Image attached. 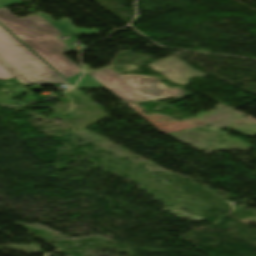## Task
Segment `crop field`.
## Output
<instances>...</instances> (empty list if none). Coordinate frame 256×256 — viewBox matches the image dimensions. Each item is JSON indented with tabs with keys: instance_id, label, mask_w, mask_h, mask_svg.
Returning <instances> with one entry per match:
<instances>
[{
	"instance_id": "8a807250",
	"label": "crop field",
	"mask_w": 256,
	"mask_h": 256,
	"mask_svg": "<svg viewBox=\"0 0 256 256\" xmlns=\"http://www.w3.org/2000/svg\"><path fill=\"white\" fill-rule=\"evenodd\" d=\"M20 3V0H0V8ZM0 23L64 78L82 73L79 67L62 55L73 50L55 36L61 32L42 17L35 15L17 19L7 10H0Z\"/></svg>"
},
{
	"instance_id": "ac0d7876",
	"label": "crop field",
	"mask_w": 256,
	"mask_h": 256,
	"mask_svg": "<svg viewBox=\"0 0 256 256\" xmlns=\"http://www.w3.org/2000/svg\"><path fill=\"white\" fill-rule=\"evenodd\" d=\"M0 64L23 84L67 83L1 24Z\"/></svg>"
},
{
	"instance_id": "34b2d1b8",
	"label": "crop field",
	"mask_w": 256,
	"mask_h": 256,
	"mask_svg": "<svg viewBox=\"0 0 256 256\" xmlns=\"http://www.w3.org/2000/svg\"><path fill=\"white\" fill-rule=\"evenodd\" d=\"M88 74L110 89L126 103L132 101L127 96L141 92L148 96L168 98L180 97L186 94L182 88H166L157 78L153 77L117 75L110 69Z\"/></svg>"
},
{
	"instance_id": "412701ff",
	"label": "crop field",
	"mask_w": 256,
	"mask_h": 256,
	"mask_svg": "<svg viewBox=\"0 0 256 256\" xmlns=\"http://www.w3.org/2000/svg\"><path fill=\"white\" fill-rule=\"evenodd\" d=\"M41 16H43L45 19H47L51 24H53L55 27H57L62 32L66 33L67 35L72 34L76 28L71 24L70 20L66 18H61L62 21L60 22H54L50 19V17L46 16L45 14L39 12ZM67 23V25H63V23Z\"/></svg>"
},
{
	"instance_id": "f4fd0767",
	"label": "crop field",
	"mask_w": 256,
	"mask_h": 256,
	"mask_svg": "<svg viewBox=\"0 0 256 256\" xmlns=\"http://www.w3.org/2000/svg\"><path fill=\"white\" fill-rule=\"evenodd\" d=\"M83 87H96V88H103L100 86L95 80H93L90 76L85 75L83 80L77 85L76 88L80 89Z\"/></svg>"
},
{
	"instance_id": "dd49c442",
	"label": "crop field",
	"mask_w": 256,
	"mask_h": 256,
	"mask_svg": "<svg viewBox=\"0 0 256 256\" xmlns=\"http://www.w3.org/2000/svg\"><path fill=\"white\" fill-rule=\"evenodd\" d=\"M133 101L132 102H138V101H146V100H155V99H163V98H157V97H148L145 94H137L133 96H129Z\"/></svg>"
},
{
	"instance_id": "e52e79f7",
	"label": "crop field",
	"mask_w": 256,
	"mask_h": 256,
	"mask_svg": "<svg viewBox=\"0 0 256 256\" xmlns=\"http://www.w3.org/2000/svg\"><path fill=\"white\" fill-rule=\"evenodd\" d=\"M98 32H99V31H98V30H95V29H91V30L77 29V30L74 32V35L85 34V35L89 36V35H92V34H95V33H98Z\"/></svg>"
},
{
	"instance_id": "d8731c3e",
	"label": "crop field",
	"mask_w": 256,
	"mask_h": 256,
	"mask_svg": "<svg viewBox=\"0 0 256 256\" xmlns=\"http://www.w3.org/2000/svg\"><path fill=\"white\" fill-rule=\"evenodd\" d=\"M12 77L13 76L4 67L0 65V79H8Z\"/></svg>"
},
{
	"instance_id": "5a996713",
	"label": "crop field",
	"mask_w": 256,
	"mask_h": 256,
	"mask_svg": "<svg viewBox=\"0 0 256 256\" xmlns=\"http://www.w3.org/2000/svg\"><path fill=\"white\" fill-rule=\"evenodd\" d=\"M80 76V75H79ZM79 76L69 80L68 82H70L72 85H74V83L76 82V80L79 78Z\"/></svg>"
}]
</instances>
